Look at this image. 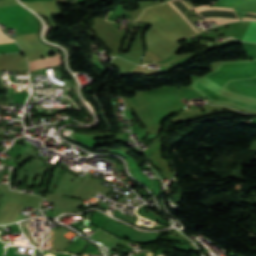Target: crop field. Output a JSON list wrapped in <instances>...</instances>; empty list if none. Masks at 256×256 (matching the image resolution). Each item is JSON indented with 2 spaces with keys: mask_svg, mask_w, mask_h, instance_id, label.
I'll return each mask as SVG.
<instances>
[{
  "mask_svg": "<svg viewBox=\"0 0 256 256\" xmlns=\"http://www.w3.org/2000/svg\"><path fill=\"white\" fill-rule=\"evenodd\" d=\"M137 21H149L152 22L153 29L169 41H173L183 34L175 30L164 18H162L154 9L147 8L141 14ZM187 38V37H185Z\"/></svg>",
  "mask_w": 256,
  "mask_h": 256,
  "instance_id": "crop-field-1",
  "label": "crop field"
},
{
  "mask_svg": "<svg viewBox=\"0 0 256 256\" xmlns=\"http://www.w3.org/2000/svg\"><path fill=\"white\" fill-rule=\"evenodd\" d=\"M29 64H30V71H32L36 69L59 65V64H62V62H61L59 53H56L52 56L43 58L41 60L31 61L29 62Z\"/></svg>",
  "mask_w": 256,
  "mask_h": 256,
  "instance_id": "crop-field-2",
  "label": "crop field"
},
{
  "mask_svg": "<svg viewBox=\"0 0 256 256\" xmlns=\"http://www.w3.org/2000/svg\"><path fill=\"white\" fill-rule=\"evenodd\" d=\"M242 40L256 42V22H250Z\"/></svg>",
  "mask_w": 256,
  "mask_h": 256,
  "instance_id": "crop-field-3",
  "label": "crop field"
},
{
  "mask_svg": "<svg viewBox=\"0 0 256 256\" xmlns=\"http://www.w3.org/2000/svg\"><path fill=\"white\" fill-rule=\"evenodd\" d=\"M237 20H239V19H237Z\"/></svg>",
  "mask_w": 256,
  "mask_h": 256,
  "instance_id": "crop-field-4",
  "label": "crop field"
}]
</instances>
